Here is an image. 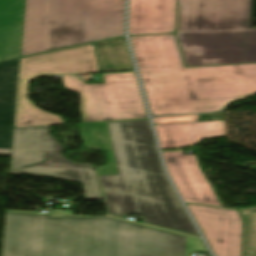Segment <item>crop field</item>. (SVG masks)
Wrapping results in <instances>:
<instances>
[{
  "label": "crop field",
  "mask_w": 256,
  "mask_h": 256,
  "mask_svg": "<svg viewBox=\"0 0 256 256\" xmlns=\"http://www.w3.org/2000/svg\"><path fill=\"white\" fill-rule=\"evenodd\" d=\"M187 238L110 217L7 211L3 256H186Z\"/></svg>",
  "instance_id": "8a807250"
},
{
  "label": "crop field",
  "mask_w": 256,
  "mask_h": 256,
  "mask_svg": "<svg viewBox=\"0 0 256 256\" xmlns=\"http://www.w3.org/2000/svg\"><path fill=\"white\" fill-rule=\"evenodd\" d=\"M130 40L152 115L213 112L256 94V64L184 68L174 34Z\"/></svg>",
  "instance_id": "ac0d7876"
},
{
  "label": "crop field",
  "mask_w": 256,
  "mask_h": 256,
  "mask_svg": "<svg viewBox=\"0 0 256 256\" xmlns=\"http://www.w3.org/2000/svg\"><path fill=\"white\" fill-rule=\"evenodd\" d=\"M116 176H101L113 214L199 236L161 166L149 122L101 125Z\"/></svg>",
  "instance_id": "34b2d1b8"
},
{
  "label": "crop field",
  "mask_w": 256,
  "mask_h": 256,
  "mask_svg": "<svg viewBox=\"0 0 256 256\" xmlns=\"http://www.w3.org/2000/svg\"><path fill=\"white\" fill-rule=\"evenodd\" d=\"M187 66L256 62L253 0H177Z\"/></svg>",
  "instance_id": "412701ff"
},
{
  "label": "crop field",
  "mask_w": 256,
  "mask_h": 256,
  "mask_svg": "<svg viewBox=\"0 0 256 256\" xmlns=\"http://www.w3.org/2000/svg\"><path fill=\"white\" fill-rule=\"evenodd\" d=\"M125 0H27L22 53L124 35Z\"/></svg>",
  "instance_id": "f4fd0767"
},
{
  "label": "crop field",
  "mask_w": 256,
  "mask_h": 256,
  "mask_svg": "<svg viewBox=\"0 0 256 256\" xmlns=\"http://www.w3.org/2000/svg\"><path fill=\"white\" fill-rule=\"evenodd\" d=\"M64 150L49 126L14 128L11 174L81 182L87 199L103 198L94 165L69 161L62 154Z\"/></svg>",
  "instance_id": "dd49c442"
},
{
  "label": "crop field",
  "mask_w": 256,
  "mask_h": 256,
  "mask_svg": "<svg viewBox=\"0 0 256 256\" xmlns=\"http://www.w3.org/2000/svg\"><path fill=\"white\" fill-rule=\"evenodd\" d=\"M101 72L94 45L21 58L14 127L63 124L61 116L45 112L28 98L27 84L37 76Z\"/></svg>",
  "instance_id": "e52e79f7"
},
{
  "label": "crop field",
  "mask_w": 256,
  "mask_h": 256,
  "mask_svg": "<svg viewBox=\"0 0 256 256\" xmlns=\"http://www.w3.org/2000/svg\"><path fill=\"white\" fill-rule=\"evenodd\" d=\"M103 76L105 83L95 84L62 76L67 89L81 94L84 122L148 118L135 72Z\"/></svg>",
  "instance_id": "d8731c3e"
},
{
  "label": "crop field",
  "mask_w": 256,
  "mask_h": 256,
  "mask_svg": "<svg viewBox=\"0 0 256 256\" xmlns=\"http://www.w3.org/2000/svg\"><path fill=\"white\" fill-rule=\"evenodd\" d=\"M216 256H242L243 221L238 210L187 204ZM246 219L245 256H256V206Z\"/></svg>",
  "instance_id": "5a996713"
},
{
  "label": "crop field",
  "mask_w": 256,
  "mask_h": 256,
  "mask_svg": "<svg viewBox=\"0 0 256 256\" xmlns=\"http://www.w3.org/2000/svg\"><path fill=\"white\" fill-rule=\"evenodd\" d=\"M162 153L169 173L185 201L214 206L221 205L205 177L196 155H183L182 150Z\"/></svg>",
  "instance_id": "3316defc"
},
{
  "label": "crop field",
  "mask_w": 256,
  "mask_h": 256,
  "mask_svg": "<svg viewBox=\"0 0 256 256\" xmlns=\"http://www.w3.org/2000/svg\"><path fill=\"white\" fill-rule=\"evenodd\" d=\"M176 0H131L130 35L174 32Z\"/></svg>",
  "instance_id": "28ad6ade"
},
{
  "label": "crop field",
  "mask_w": 256,
  "mask_h": 256,
  "mask_svg": "<svg viewBox=\"0 0 256 256\" xmlns=\"http://www.w3.org/2000/svg\"><path fill=\"white\" fill-rule=\"evenodd\" d=\"M162 149L194 145L204 138L226 135L224 121L155 125Z\"/></svg>",
  "instance_id": "d1516ede"
},
{
  "label": "crop field",
  "mask_w": 256,
  "mask_h": 256,
  "mask_svg": "<svg viewBox=\"0 0 256 256\" xmlns=\"http://www.w3.org/2000/svg\"><path fill=\"white\" fill-rule=\"evenodd\" d=\"M26 0H0V61L20 57Z\"/></svg>",
  "instance_id": "22f410ed"
},
{
  "label": "crop field",
  "mask_w": 256,
  "mask_h": 256,
  "mask_svg": "<svg viewBox=\"0 0 256 256\" xmlns=\"http://www.w3.org/2000/svg\"><path fill=\"white\" fill-rule=\"evenodd\" d=\"M94 45L102 72L134 70L124 37Z\"/></svg>",
  "instance_id": "cbeb9de0"
},
{
  "label": "crop field",
  "mask_w": 256,
  "mask_h": 256,
  "mask_svg": "<svg viewBox=\"0 0 256 256\" xmlns=\"http://www.w3.org/2000/svg\"><path fill=\"white\" fill-rule=\"evenodd\" d=\"M15 106L0 104V155H11Z\"/></svg>",
  "instance_id": "5142ce71"
},
{
  "label": "crop field",
  "mask_w": 256,
  "mask_h": 256,
  "mask_svg": "<svg viewBox=\"0 0 256 256\" xmlns=\"http://www.w3.org/2000/svg\"><path fill=\"white\" fill-rule=\"evenodd\" d=\"M19 67L0 71V103L16 104Z\"/></svg>",
  "instance_id": "d9b57169"
},
{
  "label": "crop field",
  "mask_w": 256,
  "mask_h": 256,
  "mask_svg": "<svg viewBox=\"0 0 256 256\" xmlns=\"http://www.w3.org/2000/svg\"><path fill=\"white\" fill-rule=\"evenodd\" d=\"M198 118H199L198 115H191V116L161 117V118H153V119L155 124H164V123L196 121Z\"/></svg>",
  "instance_id": "733c2abd"
},
{
  "label": "crop field",
  "mask_w": 256,
  "mask_h": 256,
  "mask_svg": "<svg viewBox=\"0 0 256 256\" xmlns=\"http://www.w3.org/2000/svg\"><path fill=\"white\" fill-rule=\"evenodd\" d=\"M20 58L0 63V70L19 66Z\"/></svg>",
  "instance_id": "4a817a6b"
}]
</instances>
